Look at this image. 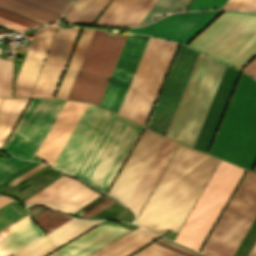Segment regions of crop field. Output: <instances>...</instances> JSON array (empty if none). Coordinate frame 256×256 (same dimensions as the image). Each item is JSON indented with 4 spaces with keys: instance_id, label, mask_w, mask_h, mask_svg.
Masks as SVG:
<instances>
[{
    "instance_id": "0765c3eb",
    "label": "crop field",
    "mask_w": 256,
    "mask_h": 256,
    "mask_svg": "<svg viewBox=\"0 0 256 256\" xmlns=\"http://www.w3.org/2000/svg\"><path fill=\"white\" fill-rule=\"evenodd\" d=\"M248 256H256V243Z\"/></svg>"
},
{
    "instance_id": "4a817a6b",
    "label": "crop field",
    "mask_w": 256,
    "mask_h": 256,
    "mask_svg": "<svg viewBox=\"0 0 256 256\" xmlns=\"http://www.w3.org/2000/svg\"><path fill=\"white\" fill-rule=\"evenodd\" d=\"M86 106V103L66 101L36 155L53 166Z\"/></svg>"
},
{
    "instance_id": "d1516ede",
    "label": "crop field",
    "mask_w": 256,
    "mask_h": 256,
    "mask_svg": "<svg viewBox=\"0 0 256 256\" xmlns=\"http://www.w3.org/2000/svg\"><path fill=\"white\" fill-rule=\"evenodd\" d=\"M108 110L88 104L85 112L54 164L57 170L72 176Z\"/></svg>"
},
{
    "instance_id": "25e5ab78",
    "label": "crop field",
    "mask_w": 256,
    "mask_h": 256,
    "mask_svg": "<svg viewBox=\"0 0 256 256\" xmlns=\"http://www.w3.org/2000/svg\"><path fill=\"white\" fill-rule=\"evenodd\" d=\"M39 163H35L32 162L30 165L26 166L25 168L19 170L18 172L14 173L13 175L9 176L8 178H6L5 180H3L2 182H0V187L2 185H4L5 183H7L8 181H10L11 179L21 175L22 173L26 172L27 170L31 169L32 167L36 166Z\"/></svg>"
},
{
    "instance_id": "4177f3b9",
    "label": "crop field",
    "mask_w": 256,
    "mask_h": 256,
    "mask_svg": "<svg viewBox=\"0 0 256 256\" xmlns=\"http://www.w3.org/2000/svg\"><path fill=\"white\" fill-rule=\"evenodd\" d=\"M93 31L92 29H83L56 98H66Z\"/></svg>"
},
{
    "instance_id": "412701ff",
    "label": "crop field",
    "mask_w": 256,
    "mask_h": 256,
    "mask_svg": "<svg viewBox=\"0 0 256 256\" xmlns=\"http://www.w3.org/2000/svg\"><path fill=\"white\" fill-rule=\"evenodd\" d=\"M188 46L241 69L256 55V14L225 11Z\"/></svg>"
},
{
    "instance_id": "e1d0b9f6",
    "label": "crop field",
    "mask_w": 256,
    "mask_h": 256,
    "mask_svg": "<svg viewBox=\"0 0 256 256\" xmlns=\"http://www.w3.org/2000/svg\"><path fill=\"white\" fill-rule=\"evenodd\" d=\"M1 99V98H0Z\"/></svg>"
},
{
    "instance_id": "eef30255",
    "label": "crop field",
    "mask_w": 256,
    "mask_h": 256,
    "mask_svg": "<svg viewBox=\"0 0 256 256\" xmlns=\"http://www.w3.org/2000/svg\"><path fill=\"white\" fill-rule=\"evenodd\" d=\"M41 232L30 222L0 240V256H7L37 237Z\"/></svg>"
},
{
    "instance_id": "3316defc",
    "label": "crop field",
    "mask_w": 256,
    "mask_h": 256,
    "mask_svg": "<svg viewBox=\"0 0 256 256\" xmlns=\"http://www.w3.org/2000/svg\"><path fill=\"white\" fill-rule=\"evenodd\" d=\"M197 54L193 50L180 46L147 125L148 127L165 134Z\"/></svg>"
},
{
    "instance_id": "c21b1889",
    "label": "crop field",
    "mask_w": 256,
    "mask_h": 256,
    "mask_svg": "<svg viewBox=\"0 0 256 256\" xmlns=\"http://www.w3.org/2000/svg\"><path fill=\"white\" fill-rule=\"evenodd\" d=\"M144 229L142 228H137L134 231L128 233L127 235L123 236L122 238L116 240L115 242L111 243L110 245L106 246L105 248L99 250L98 252L94 253L91 256H100L101 254L107 252L108 250L114 248L115 246L119 245L120 243L126 241L127 239L133 237L134 235L138 234L139 232L143 231Z\"/></svg>"
},
{
    "instance_id": "34b2d1b8",
    "label": "crop field",
    "mask_w": 256,
    "mask_h": 256,
    "mask_svg": "<svg viewBox=\"0 0 256 256\" xmlns=\"http://www.w3.org/2000/svg\"><path fill=\"white\" fill-rule=\"evenodd\" d=\"M141 128L109 111L73 176L105 192Z\"/></svg>"
},
{
    "instance_id": "214f88e0",
    "label": "crop field",
    "mask_w": 256,
    "mask_h": 256,
    "mask_svg": "<svg viewBox=\"0 0 256 256\" xmlns=\"http://www.w3.org/2000/svg\"><path fill=\"white\" fill-rule=\"evenodd\" d=\"M103 221H81L70 219L34 243L15 252L18 256H45L66 242L85 233Z\"/></svg>"
},
{
    "instance_id": "5866460e",
    "label": "crop field",
    "mask_w": 256,
    "mask_h": 256,
    "mask_svg": "<svg viewBox=\"0 0 256 256\" xmlns=\"http://www.w3.org/2000/svg\"><path fill=\"white\" fill-rule=\"evenodd\" d=\"M0 18L6 21L12 22L14 24H17L19 26H22L24 28L40 25L39 23H36L20 15H17L15 13H12L3 9H0Z\"/></svg>"
},
{
    "instance_id": "0f1d7ab4",
    "label": "crop field",
    "mask_w": 256,
    "mask_h": 256,
    "mask_svg": "<svg viewBox=\"0 0 256 256\" xmlns=\"http://www.w3.org/2000/svg\"><path fill=\"white\" fill-rule=\"evenodd\" d=\"M3 99H4V98H2V99H1V101H0V105H1V103H2V101H3Z\"/></svg>"
},
{
    "instance_id": "dafd665d",
    "label": "crop field",
    "mask_w": 256,
    "mask_h": 256,
    "mask_svg": "<svg viewBox=\"0 0 256 256\" xmlns=\"http://www.w3.org/2000/svg\"><path fill=\"white\" fill-rule=\"evenodd\" d=\"M156 0H113L96 24H139Z\"/></svg>"
},
{
    "instance_id": "22f410ed",
    "label": "crop field",
    "mask_w": 256,
    "mask_h": 256,
    "mask_svg": "<svg viewBox=\"0 0 256 256\" xmlns=\"http://www.w3.org/2000/svg\"><path fill=\"white\" fill-rule=\"evenodd\" d=\"M148 38L144 35L128 36L101 106L118 112Z\"/></svg>"
},
{
    "instance_id": "7b73153f",
    "label": "crop field",
    "mask_w": 256,
    "mask_h": 256,
    "mask_svg": "<svg viewBox=\"0 0 256 256\" xmlns=\"http://www.w3.org/2000/svg\"><path fill=\"white\" fill-rule=\"evenodd\" d=\"M0 22H3V23H5V24H8V25H11V26H13V27H15V28H17V29H23V28H21V27H19V26H16V25H13V24H11V23H8V22H5V21H3V20H0Z\"/></svg>"
},
{
    "instance_id": "028f5c9d",
    "label": "crop field",
    "mask_w": 256,
    "mask_h": 256,
    "mask_svg": "<svg viewBox=\"0 0 256 256\" xmlns=\"http://www.w3.org/2000/svg\"><path fill=\"white\" fill-rule=\"evenodd\" d=\"M255 230H256V218H255V220L253 221L252 225L250 226L248 232L246 233L244 239L242 240V242H241L240 246L238 247V249H237L236 253L234 254V256H240V255L242 254V252L244 251L245 247H246L247 244L249 243V241H250L252 235L254 234ZM255 234H256V232H255ZM255 234L253 235L252 239L254 238ZM252 239H251V241H252ZM251 241H250V243H251ZM255 241H256V236H255L254 240L252 241L251 245H250V243L248 244V246L250 245L249 248H248V246L246 247L245 251H246L247 248H248V250L246 251V253H245V251H244L241 256H243L244 253H245L244 256H247V255H248V253L250 252L251 248L253 247Z\"/></svg>"
},
{
    "instance_id": "28ad6ade",
    "label": "crop field",
    "mask_w": 256,
    "mask_h": 256,
    "mask_svg": "<svg viewBox=\"0 0 256 256\" xmlns=\"http://www.w3.org/2000/svg\"><path fill=\"white\" fill-rule=\"evenodd\" d=\"M163 140L164 137L145 128L108 195L126 205Z\"/></svg>"
},
{
    "instance_id": "1d79db26",
    "label": "crop field",
    "mask_w": 256,
    "mask_h": 256,
    "mask_svg": "<svg viewBox=\"0 0 256 256\" xmlns=\"http://www.w3.org/2000/svg\"><path fill=\"white\" fill-rule=\"evenodd\" d=\"M60 176H61L60 174L57 175L54 179L50 180L49 182H47L46 184H44L43 186H41V187H40L39 189H37L34 193H32V194L30 193V194H31V195L29 194L30 196H29V195H27V196L31 197L32 195L36 194L38 191H40L41 189H43L45 186H47L48 184H50L52 181H54L55 179L59 178ZM27 196H26V197H27ZM29 197H27V198H29ZM27 198H25V199H27ZM25 199H23V200H25ZM23 200H22V201H23Z\"/></svg>"
},
{
    "instance_id": "db79e9e6",
    "label": "crop field",
    "mask_w": 256,
    "mask_h": 256,
    "mask_svg": "<svg viewBox=\"0 0 256 256\" xmlns=\"http://www.w3.org/2000/svg\"><path fill=\"white\" fill-rule=\"evenodd\" d=\"M0 25L3 26V27H6V28H8V29H11V30H13V31H18L17 29H15V28H13V27H11V26L5 25V24H3V23H0Z\"/></svg>"
},
{
    "instance_id": "bc2a9ffb",
    "label": "crop field",
    "mask_w": 256,
    "mask_h": 256,
    "mask_svg": "<svg viewBox=\"0 0 256 256\" xmlns=\"http://www.w3.org/2000/svg\"><path fill=\"white\" fill-rule=\"evenodd\" d=\"M56 29L54 26H48L36 30L30 49L16 79L15 96H29Z\"/></svg>"
},
{
    "instance_id": "5d738f31",
    "label": "crop field",
    "mask_w": 256,
    "mask_h": 256,
    "mask_svg": "<svg viewBox=\"0 0 256 256\" xmlns=\"http://www.w3.org/2000/svg\"><path fill=\"white\" fill-rule=\"evenodd\" d=\"M145 250L149 251V252H152L154 254H157L159 256H181V255H178L174 252H171L167 249H164L162 247H159L155 244L149 246L148 248H146Z\"/></svg>"
},
{
    "instance_id": "8a807250",
    "label": "crop field",
    "mask_w": 256,
    "mask_h": 256,
    "mask_svg": "<svg viewBox=\"0 0 256 256\" xmlns=\"http://www.w3.org/2000/svg\"><path fill=\"white\" fill-rule=\"evenodd\" d=\"M217 162L179 145L135 222L160 235L178 232Z\"/></svg>"
},
{
    "instance_id": "a9b5d70f",
    "label": "crop field",
    "mask_w": 256,
    "mask_h": 256,
    "mask_svg": "<svg viewBox=\"0 0 256 256\" xmlns=\"http://www.w3.org/2000/svg\"><path fill=\"white\" fill-rule=\"evenodd\" d=\"M0 7L42 23L54 22L60 13L26 0H0Z\"/></svg>"
},
{
    "instance_id": "bd1437ed",
    "label": "crop field",
    "mask_w": 256,
    "mask_h": 256,
    "mask_svg": "<svg viewBox=\"0 0 256 256\" xmlns=\"http://www.w3.org/2000/svg\"><path fill=\"white\" fill-rule=\"evenodd\" d=\"M34 217L37 220L38 224L43 227L45 232H48L62 225L65 221L71 218L68 216L60 215L48 208L44 209Z\"/></svg>"
},
{
    "instance_id": "9d1cf04e",
    "label": "crop field",
    "mask_w": 256,
    "mask_h": 256,
    "mask_svg": "<svg viewBox=\"0 0 256 256\" xmlns=\"http://www.w3.org/2000/svg\"><path fill=\"white\" fill-rule=\"evenodd\" d=\"M13 199L0 196V207L12 201Z\"/></svg>"
},
{
    "instance_id": "92a150f3",
    "label": "crop field",
    "mask_w": 256,
    "mask_h": 256,
    "mask_svg": "<svg viewBox=\"0 0 256 256\" xmlns=\"http://www.w3.org/2000/svg\"><path fill=\"white\" fill-rule=\"evenodd\" d=\"M177 146L178 143L165 138L140 183L132 194L127 206L133 210L136 216Z\"/></svg>"
},
{
    "instance_id": "dbb93151",
    "label": "crop field",
    "mask_w": 256,
    "mask_h": 256,
    "mask_svg": "<svg viewBox=\"0 0 256 256\" xmlns=\"http://www.w3.org/2000/svg\"><path fill=\"white\" fill-rule=\"evenodd\" d=\"M159 241H161V242H163V243H166V244H168V245H171V246H173V247H175V248H178V249H180V250H182V251H185V252H187V253H190V254H192V255H194V256H202V255L197 254V253H195V252H192V251H190V250H188V249H185V248H183V247H180V246H178V245H176V244H173V243H171V242H168V241H166V240H164V239H161V240H159Z\"/></svg>"
},
{
    "instance_id": "750c4746",
    "label": "crop field",
    "mask_w": 256,
    "mask_h": 256,
    "mask_svg": "<svg viewBox=\"0 0 256 256\" xmlns=\"http://www.w3.org/2000/svg\"><path fill=\"white\" fill-rule=\"evenodd\" d=\"M190 0H158L141 24L153 21L166 12L184 10Z\"/></svg>"
},
{
    "instance_id": "1d83c4d3",
    "label": "crop field",
    "mask_w": 256,
    "mask_h": 256,
    "mask_svg": "<svg viewBox=\"0 0 256 256\" xmlns=\"http://www.w3.org/2000/svg\"><path fill=\"white\" fill-rule=\"evenodd\" d=\"M0 97H12V62L1 58Z\"/></svg>"
},
{
    "instance_id": "00972430",
    "label": "crop field",
    "mask_w": 256,
    "mask_h": 256,
    "mask_svg": "<svg viewBox=\"0 0 256 256\" xmlns=\"http://www.w3.org/2000/svg\"><path fill=\"white\" fill-rule=\"evenodd\" d=\"M209 57L199 54L198 59L196 61V64L194 66V69L192 71V74L189 78V81L187 83V86L185 88V91L183 93V96L181 98V101L179 103V106L177 108V111L175 113V116L172 120V123L170 125V128L167 133V137L173 139L176 141V138L178 136V133L181 129V126L183 124V121L186 117V114L188 112V109L191 105V102L193 100V97L195 95V92L198 88V85L200 83V80L203 76V73L205 71V68L208 64Z\"/></svg>"
},
{
    "instance_id": "03da06ac",
    "label": "crop field",
    "mask_w": 256,
    "mask_h": 256,
    "mask_svg": "<svg viewBox=\"0 0 256 256\" xmlns=\"http://www.w3.org/2000/svg\"><path fill=\"white\" fill-rule=\"evenodd\" d=\"M28 222H30L29 216L26 215L23 218L17 220L16 222L12 223L11 225L7 226L6 228L2 229L0 231V239Z\"/></svg>"
},
{
    "instance_id": "733c2abd",
    "label": "crop field",
    "mask_w": 256,
    "mask_h": 256,
    "mask_svg": "<svg viewBox=\"0 0 256 256\" xmlns=\"http://www.w3.org/2000/svg\"><path fill=\"white\" fill-rule=\"evenodd\" d=\"M220 12L205 11L174 14L151 25L133 28L131 32L151 34L185 44L197 35Z\"/></svg>"
},
{
    "instance_id": "78b8030e",
    "label": "crop field",
    "mask_w": 256,
    "mask_h": 256,
    "mask_svg": "<svg viewBox=\"0 0 256 256\" xmlns=\"http://www.w3.org/2000/svg\"><path fill=\"white\" fill-rule=\"evenodd\" d=\"M125 210H126V209H125ZM125 210H123L122 212H124ZM122 212H120V213H122ZM120 213H119V214H120ZM119 214H117V215H119ZM117 215H115L114 217H116ZM114 217H112V218H114ZM112 218H111V219H112Z\"/></svg>"
},
{
    "instance_id": "730fd06b",
    "label": "crop field",
    "mask_w": 256,
    "mask_h": 256,
    "mask_svg": "<svg viewBox=\"0 0 256 256\" xmlns=\"http://www.w3.org/2000/svg\"><path fill=\"white\" fill-rule=\"evenodd\" d=\"M29 98H5L0 107V148Z\"/></svg>"
},
{
    "instance_id": "cbeb9de0",
    "label": "crop field",
    "mask_w": 256,
    "mask_h": 256,
    "mask_svg": "<svg viewBox=\"0 0 256 256\" xmlns=\"http://www.w3.org/2000/svg\"><path fill=\"white\" fill-rule=\"evenodd\" d=\"M226 65L210 59L177 141L193 146Z\"/></svg>"
},
{
    "instance_id": "0bd39190",
    "label": "crop field",
    "mask_w": 256,
    "mask_h": 256,
    "mask_svg": "<svg viewBox=\"0 0 256 256\" xmlns=\"http://www.w3.org/2000/svg\"><path fill=\"white\" fill-rule=\"evenodd\" d=\"M57 174L58 173H56L53 169L49 167L41 172L39 175L31 179L30 182L32 184L28 185L27 187L35 190Z\"/></svg>"
},
{
    "instance_id": "5142ce71",
    "label": "crop field",
    "mask_w": 256,
    "mask_h": 256,
    "mask_svg": "<svg viewBox=\"0 0 256 256\" xmlns=\"http://www.w3.org/2000/svg\"><path fill=\"white\" fill-rule=\"evenodd\" d=\"M80 29H58L30 97L53 96Z\"/></svg>"
},
{
    "instance_id": "425ffa30",
    "label": "crop field",
    "mask_w": 256,
    "mask_h": 256,
    "mask_svg": "<svg viewBox=\"0 0 256 256\" xmlns=\"http://www.w3.org/2000/svg\"><path fill=\"white\" fill-rule=\"evenodd\" d=\"M250 0H228L223 8L245 9Z\"/></svg>"
},
{
    "instance_id": "e52e79f7",
    "label": "crop field",
    "mask_w": 256,
    "mask_h": 256,
    "mask_svg": "<svg viewBox=\"0 0 256 256\" xmlns=\"http://www.w3.org/2000/svg\"><path fill=\"white\" fill-rule=\"evenodd\" d=\"M256 216V173L247 171L201 253L233 256Z\"/></svg>"
},
{
    "instance_id": "ae1a2a85",
    "label": "crop field",
    "mask_w": 256,
    "mask_h": 256,
    "mask_svg": "<svg viewBox=\"0 0 256 256\" xmlns=\"http://www.w3.org/2000/svg\"><path fill=\"white\" fill-rule=\"evenodd\" d=\"M119 226L101 224L48 256H69Z\"/></svg>"
},
{
    "instance_id": "dd49c442",
    "label": "crop field",
    "mask_w": 256,
    "mask_h": 256,
    "mask_svg": "<svg viewBox=\"0 0 256 256\" xmlns=\"http://www.w3.org/2000/svg\"><path fill=\"white\" fill-rule=\"evenodd\" d=\"M152 39L153 38L150 37L148 40L128 91L118 112L119 114L142 125L146 120V117L149 113L151 105L154 101L156 93L159 89L177 44L158 38H154L153 41Z\"/></svg>"
},
{
    "instance_id": "120bbe31",
    "label": "crop field",
    "mask_w": 256,
    "mask_h": 256,
    "mask_svg": "<svg viewBox=\"0 0 256 256\" xmlns=\"http://www.w3.org/2000/svg\"><path fill=\"white\" fill-rule=\"evenodd\" d=\"M128 231L129 230L119 227L118 229L112 231L111 233L93 242L92 244L88 245L87 247L81 249L80 251L74 253L71 256H88L89 254L93 253L94 251L98 250L99 248L115 240L116 238L120 237Z\"/></svg>"
},
{
    "instance_id": "ae633e8c",
    "label": "crop field",
    "mask_w": 256,
    "mask_h": 256,
    "mask_svg": "<svg viewBox=\"0 0 256 256\" xmlns=\"http://www.w3.org/2000/svg\"><path fill=\"white\" fill-rule=\"evenodd\" d=\"M256 170V169H255Z\"/></svg>"
},
{
    "instance_id": "d8731c3e",
    "label": "crop field",
    "mask_w": 256,
    "mask_h": 256,
    "mask_svg": "<svg viewBox=\"0 0 256 256\" xmlns=\"http://www.w3.org/2000/svg\"><path fill=\"white\" fill-rule=\"evenodd\" d=\"M126 36L94 31L66 99L99 103Z\"/></svg>"
},
{
    "instance_id": "447ae74e",
    "label": "crop field",
    "mask_w": 256,
    "mask_h": 256,
    "mask_svg": "<svg viewBox=\"0 0 256 256\" xmlns=\"http://www.w3.org/2000/svg\"><path fill=\"white\" fill-rule=\"evenodd\" d=\"M134 256H157V255H154L152 253H149V252L143 250V251H141L140 253H138V254H136Z\"/></svg>"
},
{
    "instance_id": "d3111659",
    "label": "crop field",
    "mask_w": 256,
    "mask_h": 256,
    "mask_svg": "<svg viewBox=\"0 0 256 256\" xmlns=\"http://www.w3.org/2000/svg\"><path fill=\"white\" fill-rule=\"evenodd\" d=\"M159 236L145 230L102 256H128Z\"/></svg>"
},
{
    "instance_id": "ac0d7876",
    "label": "crop field",
    "mask_w": 256,
    "mask_h": 256,
    "mask_svg": "<svg viewBox=\"0 0 256 256\" xmlns=\"http://www.w3.org/2000/svg\"><path fill=\"white\" fill-rule=\"evenodd\" d=\"M209 153L249 170L256 159V81L245 73Z\"/></svg>"
},
{
    "instance_id": "b80d0937",
    "label": "crop field",
    "mask_w": 256,
    "mask_h": 256,
    "mask_svg": "<svg viewBox=\"0 0 256 256\" xmlns=\"http://www.w3.org/2000/svg\"><path fill=\"white\" fill-rule=\"evenodd\" d=\"M87 2L88 0H74L62 17L73 22Z\"/></svg>"
},
{
    "instance_id": "1f2cbd36",
    "label": "crop field",
    "mask_w": 256,
    "mask_h": 256,
    "mask_svg": "<svg viewBox=\"0 0 256 256\" xmlns=\"http://www.w3.org/2000/svg\"><path fill=\"white\" fill-rule=\"evenodd\" d=\"M106 197L103 196H98L96 199H94L93 201H91L89 204H87L86 206H84L81 210L83 211H88L89 209H91L92 207H94L95 205H97L98 203H100L102 200H104Z\"/></svg>"
},
{
    "instance_id": "73cf0c24",
    "label": "crop field",
    "mask_w": 256,
    "mask_h": 256,
    "mask_svg": "<svg viewBox=\"0 0 256 256\" xmlns=\"http://www.w3.org/2000/svg\"><path fill=\"white\" fill-rule=\"evenodd\" d=\"M242 70L247 72L249 75L256 79V58H254L247 66H245Z\"/></svg>"
},
{
    "instance_id": "b54c1fbb",
    "label": "crop field",
    "mask_w": 256,
    "mask_h": 256,
    "mask_svg": "<svg viewBox=\"0 0 256 256\" xmlns=\"http://www.w3.org/2000/svg\"><path fill=\"white\" fill-rule=\"evenodd\" d=\"M123 209H125L123 206L115 202L111 206H109L107 209H105L103 212L101 213L99 212L100 214L96 215L95 217L108 219Z\"/></svg>"
},
{
    "instance_id": "0fb4a251",
    "label": "crop field",
    "mask_w": 256,
    "mask_h": 256,
    "mask_svg": "<svg viewBox=\"0 0 256 256\" xmlns=\"http://www.w3.org/2000/svg\"><path fill=\"white\" fill-rule=\"evenodd\" d=\"M155 244H157V245H159V246H162V247H164V248H167V249H169V250H171V251H174V252H176V253H178V254H181V255H183V256H192V255L187 254V253H185V252H182V251H180V250H178V249H175V248H173V247H171V246H168V245H166V244H163V243H161V242H159V241L155 242Z\"/></svg>"
},
{
    "instance_id": "5a996713",
    "label": "crop field",
    "mask_w": 256,
    "mask_h": 256,
    "mask_svg": "<svg viewBox=\"0 0 256 256\" xmlns=\"http://www.w3.org/2000/svg\"><path fill=\"white\" fill-rule=\"evenodd\" d=\"M65 101L32 98L4 150L32 159Z\"/></svg>"
},
{
    "instance_id": "d9b57169",
    "label": "crop field",
    "mask_w": 256,
    "mask_h": 256,
    "mask_svg": "<svg viewBox=\"0 0 256 256\" xmlns=\"http://www.w3.org/2000/svg\"><path fill=\"white\" fill-rule=\"evenodd\" d=\"M98 195L100 194L84 184L62 176L24 202L28 204L43 203L61 212L71 214Z\"/></svg>"
},
{
    "instance_id": "d23c7cc5",
    "label": "crop field",
    "mask_w": 256,
    "mask_h": 256,
    "mask_svg": "<svg viewBox=\"0 0 256 256\" xmlns=\"http://www.w3.org/2000/svg\"><path fill=\"white\" fill-rule=\"evenodd\" d=\"M112 202H114V201L109 199V198H107L103 202L98 204L96 207L91 209L89 212H87L84 215H82L81 217L82 218H90L91 216H93L94 214H96L97 212H99L100 210H102L103 208H105L106 206L111 204Z\"/></svg>"
},
{
    "instance_id": "f4fd0767",
    "label": "crop field",
    "mask_w": 256,
    "mask_h": 256,
    "mask_svg": "<svg viewBox=\"0 0 256 256\" xmlns=\"http://www.w3.org/2000/svg\"><path fill=\"white\" fill-rule=\"evenodd\" d=\"M243 172L220 160L174 241L199 251Z\"/></svg>"
},
{
    "instance_id": "e1f06a70",
    "label": "crop field",
    "mask_w": 256,
    "mask_h": 256,
    "mask_svg": "<svg viewBox=\"0 0 256 256\" xmlns=\"http://www.w3.org/2000/svg\"><path fill=\"white\" fill-rule=\"evenodd\" d=\"M10 206L0 211V229L22 217L20 213Z\"/></svg>"
},
{
    "instance_id": "89e229c0",
    "label": "crop field",
    "mask_w": 256,
    "mask_h": 256,
    "mask_svg": "<svg viewBox=\"0 0 256 256\" xmlns=\"http://www.w3.org/2000/svg\"><path fill=\"white\" fill-rule=\"evenodd\" d=\"M45 165H46V164L41 163V164L37 165L36 167H34L33 169H31V170H29L28 172H26L25 174H23V175H21V176L15 178V179H14L13 181H11V182L14 184V183L18 182L19 180L25 178L26 176L30 175L31 173L35 172L36 170L42 168V167L45 166Z\"/></svg>"
},
{
    "instance_id": "d32e631a",
    "label": "crop field",
    "mask_w": 256,
    "mask_h": 256,
    "mask_svg": "<svg viewBox=\"0 0 256 256\" xmlns=\"http://www.w3.org/2000/svg\"><path fill=\"white\" fill-rule=\"evenodd\" d=\"M28 163H30V161L17 159L13 156L8 160L0 158V181Z\"/></svg>"
},
{
    "instance_id": "c035e120",
    "label": "crop field",
    "mask_w": 256,
    "mask_h": 256,
    "mask_svg": "<svg viewBox=\"0 0 256 256\" xmlns=\"http://www.w3.org/2000/svg\"><path fill=\"white\" fill-rule=\"evenodd\" d=\"M226 0H194L187 10L203 8H221Z\"/></svg>"
}]
</instances>
